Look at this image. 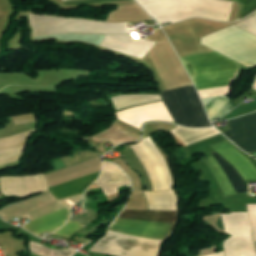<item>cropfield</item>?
Instances as JSON below:
<instances>
[{"mask_svg":"<svg viewBox=\"0 0 256 256\" xmlns=\"http://www.w3.org/2000/svg\"><path fill=\"white\" fill-rule=\"evenodd\" d=\"M235 26L256 36V13L240 21Z\"/></svg>","mask_w":256,"mask_h":256,"instance_id":"crop-field-16","label":"crop field"},{"mask_svg":"<svg viewBox=\"0 0 256 256\" xmlns=\"http://www.w3.org/2000/svg\"><path fill=\"white\" fill-rule=\"evenodd\" d=\"M99 173L49 188V190L57 200L83 193L84 190L87 189L94 180H96Z\"/></svg>","mask_w":256,"mask_h":256,"instance_id":"crop-field-11","label":"crop field"},{"mask_svg":"<svg viewBox=\"0 0 256 256\" xmlns=\"http://www.w3.org/2000/svg\"><path fill=\"white\" fill-rule=\"evenodd\" d=\"M197 90L230 84L239 64L214 52L181 58Z\"/></svg>","mask_w":256,"mask_h":256,"instance_id":"crop-field-2","label":"crop field"},{"mask_svg":"<svg viewBox=\"0 0 256 256\" xmlns=\"http://www.w3.org/2000/svg\"><path fill=\"white\" fill-rule=\"evenodd\" d=\"M211 147L234 167V169L244 178L245 182L256 180L255 167L245 156L238 152L227 141L211 145ZM216 152L212 155L217 160L218 164L229 179L237 194L246 192V184L243 178L233 169V167L228 162H226ZM212 155L203 161L211 169L225 196L236 194L233 187L229 183L228 179L226 178Z\"/></svg>","mask_w":256,"mask_h":256,"instance_id":"crop-field-1","label":"crop field"},{"mask_svg":"<svg viewBox=\"0 0 256 256\" xmlns=\"http://www.w3.org/2000/svg\"><path fill=\"white\" fill-rule=\"evenodd\" d=\"M221 217L224 231L232 235L223 242L226 256H255L252 226L248 214L229 213Z\"/></svg>","mask_w":256,"mask_h":256,"instance_id":"crop-field-6","label":"crop field"},{"mask_svg":"<svg viewBox=\"0 0 256 256\" xmlns=\"http://www.w3.org/2000/svg\"><path fill=\"white\" fill-rule=\"evenodd\" d=\"M230 130L223 134L248 153L256 151V112L227 120Z\"/></svg>","mask_w":256,"mask_h":256,"instance_id":"crop-field-7","label":"crop field"},{"mask_svg":"<svg viewBox=\"0 0 256 256\" xmlns=\"http://www.w3.org/2000/svg\"><path fill=\"white\" fill-rule=\"evenodd\" d=\"M233 1H237L241 6L239 16H238L240 19L250 14L254 10H256V0H233Z\"/></svg>","mask_w":256,"mask_h":256,"instance_id":"crop-field-17","label":"crop field"},{"mask_svg":"<svg viewBox=\"0 0 256 256\" xmlns=\"http://www.w3.org/2000/svg\"><path fill=\"white\" fill-rule=\"evenodd\" d=\"M161 240L139 238L108 230L91 252L113 256H157Z\"/></svg>","mask_w":256,"mask_h":256,"instance_id":"crop-field-5","label":"crop field"},{"mask_svg":"<svg viewBox=\"0 0 256 256\" xmlns=\"http://www.w3.org/2000/svg\"><path fill=\"white\" fill-rule=\"evenodd\" d=\"M69 217V207L37 218L23 226V228L37 236L45 232H53L64 225Z\"/></svg>","mask_w":256,"mask_h":256,"instance_id":"crop-field-10","label":"crop field"},{"mask_svg":"<svg viewBox=\"0 0 256 256\" xmlns=\"http://www.w3.org/2000/svg\"><path fill=\"white\" fill-rule=\"evenodd\" d=\"M159 94L176 123L187 127L211 125L193 85L160 92Z\"/></svg>","mask_w":256,"mask_h":256,"instance_id":"crop-field-4","label":"crop field"},{"mask_svg":"<svg viewBox=\"0 0 256 256\" xmlns=\"http://www.w3.org/2000/svg\"><path fill=\"white\" fill-rule=\"evenodd\" d=\"M116 109H122L130 105L141 104L143 102H150L161 99L159 95H127L111 98Z\"/></svg>","mask_w":256,"mask_h":256,"instance_id":"crop-field-13","label":"crop field"},{"mask_svg":"<svg viewBox=\"0 0 256 256\" xmlns=\"http://www.w3.org/2000/svg\"><path fill=\"white\" fill-rule=\"evenodd\" d=\"M201 44L248 68L256 65V37L234 26L202 38Z\"/></svg>","mask_w":256,"mask_h":256,"instance_id":"crop-field-3","label":"crop field"},{"mask_svg":"<svg viewBox=\"0 0 256 256\" xmlns=\"http://www.w3.org/2000/svg\"><path fill=\"white\" fill-rule=\"evenodd\" d=\"M116 115L117 118L137 128L149 120L173 121L162 101L120 111Z\"/></svg>","mask_w":256,"mask_h":256,"instance_id":"crop-field-9","label":"crop field"},{"mask_svg":"<svg viewBox=\"0 0 256 256\" xmlns=\"http://www.w3.org/2000/svg\"><path fill=\"white\" fill-rule=\"evenodd\" d=\"M118 217L145 220V221L176 223L177 211L123 210Z\"/></svg>","mask_w":256,"mask_h":256,"instance_id":"crop-field-12","label":"crop field"},{"mask_svg":"<svg viewBox=\"0 0 256 256\" xmlns=\"http://www.w3.org/2000/svg\"><path fill=\"white\" fill-rule=\"evenodd\" d=\"M83 227L85 226L81 225L76 221L75 222L68 221L64 227L57 230L53 234L69 238L72 234H74L76 231H78Z\"/></svg>","mask_w":256,"mask_h":256,"instance_id":"crop-field-15","label":"crop field"},{"mask_svg":"<svg viewBox=\"0 0 256 256\" xmlns=\"http://www.w3.org/2000/svg\"><path fill=\"white\" fill-rule=\"evenodd\" d=\"M176 224L116 219L109 229L145 237L166 239Z\"/></svg>","mask_w":256,"mask_h":256,"instance_id":"crop-field-8","label":"crop field"},{"mask_svg":"<svg viewBox=\"0 0 256 256\" xmlns=\"http://www.w3.org/2000/svg\"><path fill=\"white\" fill-rule=\"evenodd\" d=\"M251 88H253L254 90H256V80H255V82L253 83V85H252Z\"/></svg>","mask_w":256,"mask_h":256,"instance_id":"crop-field-18","label":"crop field"},{"mask_svg":"<svg viewBox=\"0 0 256 256\" xmlns=\"http://www.w3.org/2000/svg\"><path fill=\"white\" fill-rule=\"evenodd\" d=\"M29 248L38 256H72L75 253V251L69 249L60 251L51 250L45 246L33 242L29 243Z\"/></svg>","mask_w":256,"mask_h":256,"instance_id":"crop-field-14","label":"crop field"}]
</instances>
